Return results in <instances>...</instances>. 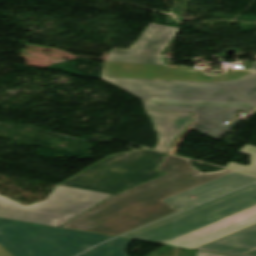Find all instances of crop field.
<instances>
[{"label":"crop field","instance_id":"crop-field-5","mask_svg":"<svg viewBox=\"0 0 256 256\" xmlns=\"http://www.w3.org/2000/svg\"><path fill=\"white\" fill-rule=\"evenodd\" d=\"M163 153L143 150L113 155L60 184L113 194L162 174L153 171Z\"/></svg>","mask_w":256,"mask_h":256},{"label":"crop field","instance_id":"crop-field-3","mask_svg":"<svg viewBox=\"0 0 256 256\" xmlns=\"http://www.w3.org/2000/svg\"><path fill=\"white\" fill-rule=\"evenodd\" d=\"M256 225V183L124 236L194 249Z\"/></svg>","mask_w":256,"mask_h":256},{"label":"crop field","instance_id":"crop-field-2","mask_svg":"<svg viewBox=\"0 0 256 256\" xmlns=\"http://www.w3.org/2000/svg\"><path fill=\"white\" fill-rule=\"evenodd\" d=\"M156 170L167 174L115 195L63 227L116 236L256 180L227 169L202 174L188 160L170 155Z\"/></svg>","mask_w":256,"mask_h":256},{"label":"crop field","instance_id":"crop-field-15","mask_svg":"<svg viewBox=\"0 0 256 256\" xmlns=\"http://www.w3.org/2000/svg\"><path fill=\"white\" fill-rule=\"evenodd\" d=\"M167 67H169V68H176V69L183 68V67H172V66H167Z\"/></svg>","mask_w":256,"mask_h":256},{"label":"crop field","instance_id":"crop-field-7","mask_svg":"<svg viewBox=\"0 0 256 256\" xmlns=\"http://www.w3.org/2000/svg\"><path fill=\"white\" fill-rule=\"evenodd\" d=\"M146 113L152 120L157 134L158 143L155 149L164 152L168 150L174 138L192 121L191 113L156 111H146Z\"/></svg>","mask_w":256,"mask_h":256},{"label":"crop field","instance_id":"crop-field-12","mask_svg":"<svg viewBox=\"0 0 256 256\" xmlns=\"http://www.w3.org/2000/svg\"><path fill=\"white\" fill-rule=\"evenodd\" d=\"M198 256H226V255H220V254L199 251Z\"/></svg>","mask_w":256,"mask_h":256},{"label":"crop field","instance_id":"crop-field-1","mask_svg":"<svg viewBox=\"0 0 256 256\" xmlns=\"http://www.w3.org/2000/svg\"><path fill=\"white\" fill-rule=\"evenodd\" d=\"M178 28L149 24L129 50L112 49L102 78L142 99L145 110L197 113L219 125L233 128L237 110L256 107V72L230 71L207 76L193 68L169 69L158 54Z\"/></svg>","mask_w":256,"mask_h":256},{"label":"crop field","instance_id":"crop-field-9","mask_svg":"<svg viewBox=\"0 0 256 256\" xmlns=\"http://www.w3.org/2000/svg\"><path fill=\"white\" fill-rule=\"evenodd\" d=\"M133 240L116 238L103 243L79 256H127L125 250Z\"/></svg>","mask_w":256,"mask_h":256},{"label":"crop field","instance_id":"crop-field-4","mask_svg":"<svg viewBox=\"0 0 256 256\" xmlns=\"http://www.w3.org/2000/svg\"><path fill=\"white\" fill-rule=\"evenodd\" d=\"M111 238L0 218V244L12 256H75Z\"/></svg>","mask_w":256,"mask_h":256},{"label":"crop field","instance_id":"crop-field-14","mask_svg":"<svg viewBox=\"0 0 256 256\" xmlns=\"http://www.w3.org/2000/svg\"><path fill=\"white\" fill-rule=\"evenodd\" d=\"M0 256H10V255L0 247Z\"/></svg>","mask_w":256,"mask_h":256},{"label":"crop field","instance_id":"crop-field-6","mask_svg":"<svg viewBox=\"0 0 256 256\" xmlns=\"http://www.w3.org/2000/svg\"><path fill=\"white\" fill-rule=\"evenodd\" d=\"M112 195L57 186L45 202L30 206L0 195V217L59 226ZM60 227V226H59Z\"/></svg>","mask_w":256,"mask_h":256},{"label":"crop field","instance_id":"crop-field-13","mask_svg":"<svg viewBox=\"0 0 256 256\" xmlns=\"http://www.w3.org/2000/svg\"><path fill=\"white\" fill-rule=\"evenodd\" d=\"M247 69H252V70H256V62H250L247 63L246 67Z\"/></svg>","mask_w":256,"mask_h":256},{"label":"crop field","instance_id":"crop-field-8","mask_svg":"<svg viewBox=\"0 0 256 256\" xmlns=\"http://www.w3.org/2000/svg\"><path fill=\"white\" fill-rule=\"evenodd\" d=\"M196 250L232 256H256V226L199 247Z\"/></svg>","mask_w":256,"mask_h":256},{"label":"crop field","instance_id":"crop-field-10","mask_svg":"<svg viewBox=\"0 0 256 256\" xmlns=\"http://www.w3.org/2000/svg\"><path fill=\"white\" fill-rule=\"evenodd\" d=\"M190 128H194L215 139L228 131L196 114H194V120Z\"/></svg>","mask_w":256,"mask_h":256},{"label":"crop field","instance_id":"crop-field-11","mask_svg":"<svg viewBox=\"0 0 256 256\" xmlns=\"http://www.w3.org/2000/svg\"><path fill=\"white\" fill-rule=\"evenodd\" d=\"M239 153L250 155L251 156L250 162H252V164L248 166H242V165L230 162L226 166V168L256 175V147L245 145L242 149L239 150Z\"/></svg>","mask_w":256,"mask_h":256}]
</instances>
